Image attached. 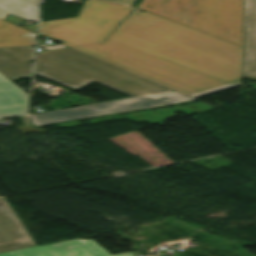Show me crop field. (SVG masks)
I'll return each instance as SVG.
<instances>
[{"instance_id": "crop-field-13", "label": "crop field", "mask_w": 256, "mask_h": 256, "mask_svg": "<svg viewBox=\"0 0 256 256\" xmlns=\"http://www.w3.org/2000/svg\"><path fill=\"white\" fill-rule=\"evenodd\" d=\"M106 1L114 2V3L126 5V6H133L135 2V0H106Z\"/></svg>"}, {"instance_id": "crop-field-2", "label": "crop field", "mask_w": 256, "mask_h": 256, "mask_svg": "<svg viewBox=\"0 0 256 256\" xmlns=\"http://www.w3.org/2000/svg\"><path fill=\"white\" fill-rule=\"evenodd\" d=\"M105 63L67 48L38 53L35 72L75 91L93 81L131 97L171 91Z\"/></svg>"}, {"instance_id": "crop-field-11", "label": "crop field", "mask_w": 256, "mask_h": 256, "mask_svg": "<svg viewBox=\"0 0 256 256\" xmlns=\"http://www.w3.org/2000/svg\"><path fill=\"white\" fill-rule=\"evenodd\" d=\"M40 0H0V18L8 14L38 23Z\"/></svg>"}, {"instance_id": "crop-field-4", "label": "crop field", "mask_w": 256, "mask_h": 256, "mask_svg": "<svg viewBox=\"0 0 256 256\" xmlns=\"http://www.w3.org/2000/svg\"><path fill=\"white\" fill-rule=\"evenodd\" d=\"M132 11L99 0H87L78 17L40 23V34L68 47L102 42Z\"/></svg>"}, {"instance_id": "crop-field-12", "label": "crop field", "mask_w": 256, "mask_h": 256, "mask_svg": "<svg viewBox=\"0 0 256 256\" xmlns=\"http://www.w3.org/2000/svg\"><path fill=\"white\" fill-rule=\"evenodd\" d=\"M36 34L0 19V47L35 45Z\"/></svg>"}, {"instance_id": "crop-field-9", "label": "crop field", "mask_w": 256, "mask_h": 256, "mask_svg": "<svg viewBox=\"0 0 256 256\" xmlns=\"http://www.w3.org/2000/svg\"><path fill=\"white\" fill-rule=\"evenodd\" d=\"M35 47L0 48V73L7 78L32 73Z\"/></svg>"}, {"instance_id": "crop-field-8", "label": "crop field", "mask_w": 256, "mask_h": 256, "mask_svg": "<svg viewBox=\"0 0 256 256\" xmlns=\"http://www.w3.org/2000/svg\"><path fill=\"white\" fill-rule=\"evenodd\" d=\"M244 57L242 77L256 81V0H242Z\"/></svg>"}, {"instance_id": "crop-field-5", "label": "crop field", "mask_w": 256, "mask_h": 256, "mask_svg": "<svg viewBox=\"0 0 256 256\" xmlns=\"http://www.w3.org/2000/svg\"><path fill=\"white\" fill-rule=\"evenodd\" d=\"M194 101L176 92L136 97L29 115L34 126Z\"/></svg>"}, {"instance_id": "crop-field-7", "label": "crop field", "mask_w": 256, "mask_h": 256, "mask_svg": "<svg viewBox=\"0 0 256 256\" xmlns=\"http://www.w3.org/2000/svg\"><path fill=\"white\" fill-rule=\"evenodd\" d=\"M35 246L5 198L0 199V253Z\"/></svg>"}, {"instance_id": "crop-field-3", "label": "crop field", "mask_w": 256, "mask_h": 256, "mask_svg": "<svg viewBox=\"0 0 256 256\" xmlns=\"http://www.w3.org/2000/svg\"><path fill=\"white\" fill-rule=\"evenodd\" d=\"M139 8L243 47L241 0H143Z\"/></svg>"}, {"instance_id": "crop-field-1", "label": "crop field", "mask_w": 256, "mask_h": 256, "mask_svg": "<svg viewBox=\"0 0 256 256\" xmlns=\"http://www.w3.org/2000/svg\"><path fill=\"white\" fill-rule=\"evenodd\" d=\"M74 49L193 99L241 82L242 47L136 10L103 44Z\"/></svg>"}, {"instance_id": "crop-field-10", "label": "crop field", "mask_w": 256, "mask_h": 256, "mask_svg": "<svg viewBox=\"0 0 256 256\" xmlns=\"http://www.w3.org/2000/svg\"><path fill=\"white\" fill-rule=\"evenodd\" d=\"M29 95L0 74V118L27 113Z\"/></svg>"}, {"instance_id": "crop-field-6", "label": "crop field", "mask_w": 256, "mask_h": 256, "mask_svg": "<svg viewBox=\"0 0 256 256\" xmlns=\"http://www.w3.org/2000/svg\"><path fill=\"white\" fill-rule=\"evenodd\" d=\"M0 256H111L94 241L77 239L46 244L43 246L2 253ZM113 256H134L131 252Z\"/></svg>"}]
</instances>
